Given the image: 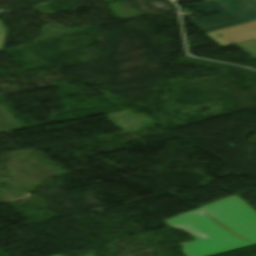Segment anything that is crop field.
<instances>
[{"label": "crop field", "instance_id": "obj_8", "mask_svg": "<svg viewBox=\"0 0 256 256\" xmlns=\"http://www.w3.org/2000/svg\"><path fill=\"white\" fill-rule=\"evenodd\" d=\"M56 256H59V255H56ZM92 256V255H91Z\"/></svg>", "mask_w": 256, "mask_h": 256}, {"label": "crop field", "instance_id": "obj_2", "mask_svg": "<svg viewBox=\"0 0 256 256\" xmlns=\"http://www.w3.org/2000/svg\"><path fill=\"white\" fill-rule=\"evenodd\" d=\"M205 14L212 11L221 14L215 15L192 24L202 32L220 29L256 19V13L244 6L238 0H209L194 4Z\"/></svg>", "mask_w": 256, "mask_h": 256}, {"label": "crop field", "instance_id": "obj_1", "mask_svg": "<svg viewBox=\"0 0 256 256\" xmlns=\"http://www.w3.org/2000/svg\"><path fill=\"white\" fill-rule=\"evenodd\" d=\"M166 222L197 239L182 244L186 256H207L256 243V211L237 195Z\"/></svg>", "mask_w": 256, "mask_h": 256}, {"label": "crop field", "instance_id": "obj_7", "mask_svg": "<svg viewBox=\"0 0 256 256\" xmlns=\"http://www.w3.org/2000/svg\"><path fill=\"white\" fill-rule=\"evenodd\" d=\"M3 42L4 40L0 39V50L2 49Z\"/></svg>", "mask_w": 256, "mask_h": 256}, {"label": "crop field", "instance_id": "obj_3", "mask_svg": "<svg viewBox=\"0 0 256 256\" xmlns=\"http://www.w3.org/2000/svg\"><path fill=\"white\" fill-rule=\"evenodd\" d=\"M205 34L222 47L256 39V20ZM217 34L223 37L219 38Z\"/></svg>", "mask_w": 256, "mask_h": 256}, {"label": "crop field", "instance_id": "obj_6", "mask_svg": "<svg viewBox=\"0 0 256 256\" xmlns=\"http://www.w3.org/2000/svg\"><path fill=\"white\" fill-rule=\"evenodd\" d=\"M5 32H6V29L4 28L2 22H0V38L2 39L5 38Z\"/></svg>", "mask_w": 256, "mask_h": 256}, {"label": "crop field", "instance_id": "obj_5", "mask_svg": "<svg viewBox=\"0 0 256 256\" xmlns=\"http://www.w3.org/2000/svg\"><path fill=\"white\" fill-rule=\"evenodd\" d=\"M256 11V0H241Z\"/></svg>", "mask_w": 256, "mask_h": 256}, {"label": "crop field", "instance_id": "obj_4", "mask_svg": "<svg viewBox=\"0 0 256 256\" xmlns=\"http://www.w3.org/2000/svg\"><path fill=\"white\" fill-rule=\"evenodd\" d=\"M237 47L256 58V40L237 44Z\"/></svg>", "mask_w": 256, "mask_h": 256}]
</instances>
